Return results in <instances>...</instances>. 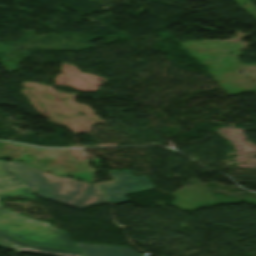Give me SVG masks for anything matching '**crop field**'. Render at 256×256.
<instances>
[{"label":"crop field","instance_id":"8a807250","mask_svg":"<svg viewBox=\"0 0 256 256\" xmlns=\"http://www.w3.org/2000/svg\"><path fill=\"white\" fill-rule=\"evenodd\" d=\"M31 193L19 178L0 159V199L12 195ZM0 230L23 241L79 250L64 231L49 222L33 219L3 209L0 203Z\"/></svg>","mask_w":256,"mask_h":256},{"label":"crop field","instance_id":"ac0d7876","mask_svg":"<svg viewBox=\"0 0 256 256\" xmlns=\"http://www.w3.org/2000/svg\"><path fill=\"white\" fill-rule=\"evenodd\" d=\"M7 163L24 184L39 197L73 205L81 209L107 202L92 184L46 175L15 161Z\"/></svg>","mask_w":256,"mask_h":256},{"label":"crop field","instance_id":"34b2d1b8","mask_svg":"<svg viewBox=\"0 0 256 256\" xmlns=\"http://www.w3.org/2000/svg\"><path fill=\"white\" fill-rule=\"evenodd\" d=\"M108 173L114 181L96 185L111 204L128 201L124 195L154 188L146 176L134 177L128 170L120 172L112 170Z\"/></svg>","mask_w":256,"mask_h":256},{"label":"crop field","instance_id":"412701ff","mask_svg":"<svg viewBox=\"0 0 256 256\" xmlns=\"http://www.w3.org/2000/svg\"><path fill=\"white\" fill-rule=\"evenodd\" d=\"M0 244L8 247L13 251H29L53 256H84L82 252H72L51 248L39 247L27 243L20 242L2 232H0Z\"/></svg>","mask_w":256,"mask_h":256},{"label":"crop field","instance_id":"f4fd0767","mask_svg":"<svg viewBox=\"0 0 256 256\" xmlns=\"http://www.w3.org/2000/svg\"><path fill=\"white\" fill-rule=\"evenodd\" d=\"M86 256H141L130 248L76 243Z\"/></svg>","mask_w":256,"mask_h":256}]
</instances>
